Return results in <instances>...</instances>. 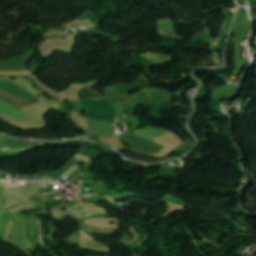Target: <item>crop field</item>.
<instances>
[{
  "instance_id": "8a807250",
  "label": "crop field",
  "mask_w": 256,
  "mask_h": 256,
  "mask_svg": "<svg viewBox=\"0 0 256 256\" xmlns=\"http://www.w3.org/2000/svg\"><path fill=\"white\" fill-rule=\"evenodd\" d=\"M94 97L100 96L90 92L89 88H83L78 92L79 101L75 103L89 109L84 115L88 118L98 121L114 122L116 116L111 102L109 100L94 101L90 99Z\"/></svg>"
},
{
  "instance_id": "ac0d7876",
  "label": "crop field",
  "mask_w": 256,
  "mask_h": 256,
  "mask_svg": "<svg viewBox=\"0 0 256 256\" xmlns=\"http://www.w3.org/2000/svg\"><path fill=\"white\" fill-rule=\"evenodd\" d=\"M120 137L129 141L133 152L145 155H152L158 153L160 150L164 148L152 141L140 138L134 134H126Z\"/></svg>"
},
{
  "instance_id": "34b2d1b8",
  "label": "crop field",
  "mask_w": 256,
  "mask_h": 256,
  "mask_svg": "<svg viewBox=\"0 0 256 256\" xmlns=\"http://www.w3.org/2000/svg\"><path fill=\"white\" fill-rule=\"evenodd\" d=\"M0 99L21 109L33 103L0 89Z\"/></svg>"
}]
</instances>
